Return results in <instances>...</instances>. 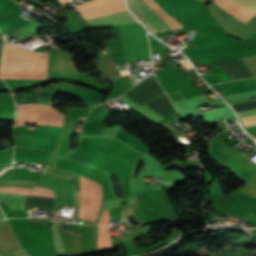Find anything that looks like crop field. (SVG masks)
<instances>
[{"mask_svg":"<svg viewBox=\"0 0 256 256\" xmlns=\"http://www.w3.org/2000/svg\"><path fill=\"white\" fill-rule=\"evenodd\" d=\"M64 115L52 107V103L18 106L17 121L20 124L62 126ZM23 126V125H21Z\"/></svg>","mask_w":256,"mask_h":256,"instance_id":"412701ff","label":"crop field"},{"mask_svg":"<svg viewBox=\"0 0 256 256\" xmlns=\"http://www.w3.org/2000/svg\"><path fill=\"white\" fill-rule=\"evenodd\" d=\"M125 61L150 57L146 31L140 24L118 26Z\"/></svg>","mask_w":256,"mask_h":256,"instance_id":"34b2d1b8","label":"crop field"},{"mask_svg":"<svg viewBox=\"0 0 256 256\" xmlns=\"http://www.w3.org/2000/svg\"><path fill=\"white\" fill-rule=\"evenodd\" d=\"M92 28L104 27L109 25L128 24L137 22L129 11L119 12L91 20H87Z\"/></svg>","mask_w":256,"mask_h":256,"instance_id":"dd49c442","label":"crop field"},{"mask_svg":"<svg viewBox=\"0 0 256 256\" xmlns=\"http://www.w3.org/2000/svg\"><path fill=\"white\" fill-rule=\"evenodd\" d=\"M216 1L224 4V5L232 8V9H234V10H236V11H238V12H240V13L248 16V17H250V18L253 15L256 14V11H254V10H252V9L242 5V4H239V3H237V2H235L233 0H216ZM216 1H215V4H217L219 7H221L222 9H224L225 11H227L228 13L233 15L235 18H237V19H239V20H241V21H243L245 23H247L250 20V18H248V17H246V16H244V15H242V14H240V13H238V12H236V11H234V10H232V9H230V8L224 6V5H222V4H220V3L216 2Z\"/></svg>","mask_w":256,"mask_h":256,"instance_id":"d8731c3e","label":"crop field"},{"mask_svg":"<svg viewBox=\"0 0 256 256\" xmlns=\"http://www.w3.org/2000/svg\"><path fill=\"white\" fill-rule=\"evenodd\" d=\"M0 256H4L3 254H1Z\"/></svg>","mask_w":256,"mask_h":256,"instance_id":"d9b57169","label":"crop field"},{"mask_svg":"<svg viewBox=\"0 0 256 256\" xmlns=\"http://www.w3.org/2000/svg\"><path fill=\"white\" fill-rule=\"evenodd\" d=\"M4 46L19 47L8 42ZM47 62L48 53L4 47L0 69L47 72ZM0 77L12 80H47V73L0 70Z\"/></svg>","mask_w":256,"mask_h":256,"instance_id":"8a807250","label":"crop field"},{"mask_svg":"<svg viewBox=\"0 0 256 256\" xmlns=\"http://www.w3.org/2000/svg\"><path fill=\"white\" fill-rule=\"evenodd\" d=\"M212 103H215V102H219L220 100L218 98H215V99H211L210 100Z\"/></svg>","mask_w":256,"mask_h":256,"instance_id":"cbeb9de0","label":"crop field"},{"mask_svg":"<svg viewBox=\"0 0 256 256\" xmlns=\"http://www.w3.org/2000/svg\"><path fill=\"white\" fill-rule=\"evenodd\" d=\"M107 227L108 226H98L97 249L112 247L111 238H109V234L107 233Z\"/></svg>","mask_w":256,"mask_h":256,"instance_id":"3316defc","label":"crop field"},{"mask_svg":"<svg viewBox=\"0 0 256 256\" xmlns=\"http://www.w3.org/2000/svg\"><path fill=\"white\" fill-rule=\"evenodd\" d=\"M37 185L53 188L56 191V204H69L73 205V192L72 187L52 183L44 180H39Z\"/></svg>","mask_w":256,"mask_h":256,"instance_id":"5a996713","label":"crop field"},{"mask_svg":"<svg viewBox=\"0 0 256 256\" xmlns=\"http://www.w3.org/2000/svg\"><path fill=\"white\" fill-rule=\"evenodd\" d=\"M73 55L65 52L49 53L48 80L53 77L77 79Z\"/></svg>","mask_w":256,"mask_h":256,"instance_id":"f4fd0767","label":"crop field"},{"mask_svg":"<svg viewBox=\"0 0 256 256\" xmlns=\"http://www.w3.org/2000/svg\"><path fill=\"white\" fill-rule=\"evenodd\" d=\"M236 114L238 117L254 115V114H256V108L250 109V110L238 111V112H236Z\"/></svg>","mask_w":256,"mask_h":256,"instance_id":"22f410ed","label":"crop field"},{"mask_svg":"<svg viewBox=\"0 0 256 256\" xmlns=\"http://www.w3.org/2000/svg\"><path fill=\"white\" fill-rule=\"evenodd\" d=\"M30 194L54 198L53 190H49V189H45V188H41V187H37V186L34 187V189L30 192Z\"/></svg>","mask_w":256,"mask_h":256,"instance_id":"28ad6ade","label":"crop field"},{"mask_svg":"<svg viewBox=\"0 0 256 256\" xmlns=\"http://www.w3.org/2000/svg\"><path fill=\"white\" fill-rule=\"evenodd\" d=\"M31 189L18 187H0V192L17 193L27 195ZM24 195L0 194V202H4L9 208L20 210L25 200Z\"/></svg>","mask_w":256,"mask_h":256,"instance_id":"e52e79f7","label":"crop field"},{"mask_svg":"<svg viewBox=\"0 0 256 256\" xmlns=\"http://www.w3.org/2000/svg\"><path fill=\"white\" fill-rule=\"evenodd\" d=\"M240 119L245 124V126L255 125L256 124V115L248 116V117H242Z\"/></svg>","mask_w":256,"mask_h":256,"instance_id":"d1516ede","label":"crop field"},{"mask_svg":"<svg viewBox=\"0 0 256 256\" xmlns=\"http://www.w3.org/2000/svg\"><path fill=\"white\" fill-rule=\"evenodd\" d=\"M129 6L154 33L183 28L153 0H129Z\"/></svg>","mask_w":256,"mask_h":256,"instance_id":"ac0d7876","label":"crop field"},{"mask_svg":"<svg viewBox=\"0 0 256 256\" xmlns=\"http://www.w3.org/2000/svg\"><path fill=\"white\" fill-rule=\"evenodd\" d=\"M79 204H82L80 192H78Z\"/></svg>","mask_w":256,"mask_h":256,"instance_id":"5142ce71","label":"crop field"}]
</instances>
